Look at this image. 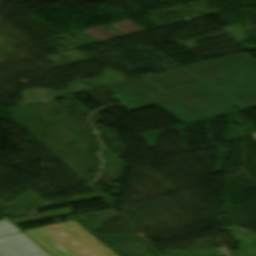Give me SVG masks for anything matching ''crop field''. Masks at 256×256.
<instances>
[{
	"label": "crop field",
	"mask_w": 256,
	"mask_h": 256,
	"mask_svg": "<svg viewBox=\"0 0 256 256\" xmlns=\"http://www.w3.org/2000/svg\"><path fill=\"white\" fill-rule=\"evenodd\" d=\"M144 79L157 87L162 86L161 90L206 118L234 111V107H237L236 110L245 108L182 68Z\"/></svg>",
	"instance_id": "8a807250"
},
{
	"label": "crop field",
	"mask_w": 256,
	"mask_h": 256,
	"mask_svg": "<svg viewBox=\"0 0 256 256\" xmlns=\"http://www.w3.org/2000/svg\"><path fill=\"white\" fill-rule=\"evenodd\" d=\"M191 67L223 87L256 79V62L243 53L191 65Z\"/></svg>",
	"instance_id": "ac0d7876"
},
{
	"label": "crop field",
	"mask_w": 256,
	"mask_h": 256,
	"mask_svg": "<svg viewBox=\"0 0 256 256\" xmlns=\"http://www.w3.org/2000/svg\"><path fill=\"white\" fill-rule=\"evenodd\" d=\"M68 222L25 230L29 236L54 256H88L84 251L88 243L75 231H68Z\"/></svg>",
	"instance_id": "34b2d1b8"
},
{
	"label": "crop field",
	"mask_w": 256,
	"mask_h": 256,
	"mask_svg": "<svg viewBox=\"0 0 256 256\" xmlns=\"http://www.w3.org/2000/svg\"><path fill=\"white\" fill-rule=\"evenodd\" d=\"M122 105L130 111L157 105L185 124L205 119L190 107L166 93Z\"/></svg>",
	"instance_id": "412701ff"
},
{
	"label": "crop field",
	"mask_w": 256,
	"mask_h": 256,
	"mask_svg": "<svg viewBox=\"0 0 256 256\" xmlns=\"http://www.w3.org/2000/svg\"><path fill=\"white\" fill-rule=\"evenodd\" d=\"M0 256H49L23 233L0 238Z\"/></svg>",
	"instance_id": "f4fd0767"
},
{
	"label": "crop field",
	"mask_w": 256,
	"mask_h": 256,
	"mask_svg": "<svg viewBox=\"0 0 256 256\" xmlns=\"http://www.w3.org/2000/svg\"><path fill=\"white\" fill-rule=\"evenodd\" d=\"M107 88L115 94L112 97L120 102L161 92L159 88L151 85L142 78L108 86Z\"/></svg>",
	"instance_id": "dd49c442"
},
{
	"label": "crop field",
	"mask_w": 256,
	"mask_h": 256,
	"mask_svg": "<svg viewBox=\"0 0 256 256\" xmlns=\"http://www.w3.org/2000/svg\"><path fill=\"white\" fill-rule=\"evenodd\" d=\"M184 68L195 74L196 76L200 77L201 79L205 80L209 84L213 85L214 87L218 88L219 90L223 91L224 93L228 94L229 96L240 101L245 106L251 107L256 105V80L223 88L212 80L205 77L204 75L200 74L196 70L192 69L191 67L187 66Z\"/></svg>",
	"instance_id": "e52e79f7"
},
{
	"label": "crop field",
	"mask_w": 256,
	"mask_h": 256,
	"mask_svg": "<svg viewBox=\"0 0 256 256\" xmlns=\"http://www.w3.org/2000/svg\"><path fill=\"white\" fill-rule=\"evenodd\" d=\"M67 227L69 230L77 231L89 243L84 248L89 256H116L75 221L69 222Z\"/></svg>",
	"instance_id": "d8731c3e"
},
{
	"label": "crop field",
	"mask_w": 256,
	"mask_h": 256,
	"mask_svg": "<svg viewBox=\"0 0 256 256\" xmlns=\"http://www.w3.org/2000/svg\"><path fill=\"white\" fill-rule=\"evenodd\" d=\"M71 211H72V209L68 208V209H63V210L43 213V214H37V215H32V216H27V217H22V218H17V219H12V221L15 224H18V223H23V222H29V221L39 220V219H45V218H50V217H55V216L71 214Z\"/></svg>",
	"instance_id": "5a996713"
},
{
	"label": "crop field",
	"mask_w": 256,
	"mask_h": 256,
	"mask_svg": "<svg viewBox=\"0 0 256 256\" xmlns=\"http://www.w3.org/2000/svg\"><path fill=\"white\" fill-rule=\"evenodd\" d=\"M20 232L21 231H19L15 226H13L7 220L0 221V237L15 234V233H20Z\"/></svg>",
	"instance_id": "3316defc"
},
{
	"label": "crop field",
	"mask_w": 256,
	"mask_h": 256,
	"mask_svg": "<svg viewBox=\"0 0 256 256\" xmlns=\"http://www.w3.org/2000/svg\"><path fill=\"white\" fill-rule=\"evenodd\" d=\"M252 138H254L256 140V135L252 136Z\"/></svg>",
	"instance_id": "28ad6ade"
}]
</instances>
